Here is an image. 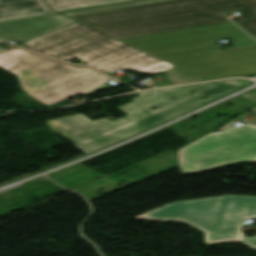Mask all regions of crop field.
I'll use <instances>...</instances> for the list:
<instances>
[{"label": "crop field", "mask_w": 256, "mask_h": 256, "mask_svg": "<svg viewBox=\"0 0 256 256\" xmlns=\"http://www.w3.org/2000/svg\"><path fill=\"white\" fill-rule=\"evenodd\" d=\"M228 93L212 83L140 92L134 102L119 107L129 115L113 122L107 118L92 122L78 114L46 124L55 134L89 154ZM152 106L157 109L149 110Z\"/></svg>", "instance_id": "crop-field-1"}, {"label": "crop field", "mask_w": 256, "mask_h": 256, "mask_svg": "<svg viewBox=\"0 0 256 256\" xmlns=\"http://www.w3.org/2000/svg\"><path fill=\"white\" fill-rule=\"evenodd\" d=\"M242 8L249 20L237 22L256 35V0H173L71 18L117 39L164 33L224 22L219 12Z\"/></svg>", "instance_id": "crop-field-2"}, {"label": "crop field", "mask_w": 256, "mask_h": 256, "mask_svg": "<svg viewBox=\"0 0 256 256\" xmlns=\"http://www.w3.org/2000/svg\"><path fill=\"white\" fill-rule=\"evenodd\" d=\"M19 46L65 61L78 57L84 60L79 64L106 75L121 69L156 74L175 67L79 22Z\"/></svg>", "instance_id": "crop-field-3"}, {"label": "crop field", "mask_w": 256, "mask_h": 256, "mask_svg": "<svg viewBox=\"0 0 256 256\" xmlns=\"http://www.w3.org/2000/svg\"><path fill=\"white\" fill-rule=\"evenodd\" d=\"M239 35L245 33L224 23L122 41L191 72L256 61V45L218 51L214 40Z\"/></svg>", "instance_id": "crop-field-4"}, {"label": "crop field", "mask_w": 256, "mask_h": 256, "mask_svg": "<svg viewBox=\"0 0 256 256\" xmlns=\"http://www.w3.org/2000/svg\"><path fill=\"white\" fill-rule=\"evenodd\" d=\"M0 67L16 75L22 90L46 106L108 88L103 84L111 80L88 68L15 47L0 53Z\"/></svg>", "instance_id": "crop-field-5"}, {"label": "crop field", "mask_w": 256, "mask_h": 256, "mask_svg": "<svg viewBox=\"0 0 256 256\" xmlns=\"http://www.w3.org/2000/svg\"><path fill=\"white\" fill-rule=\"evenodd\" d=\"M241 216L256 218V197L224 195L172 203L136 218L180 220L205 232L206 244L237 239L256 250V237L244 239L235 228Z\"/></svg>", "instance_id": "crop-field-6"}, {"label": "crop field", "mask_w": 256, "mask_h": 256, "mask_svg": "<svg viewBox=\"0 0 256 256\" xmlns=\"http://www.w3.org/2000/svg\"><path fill=\"white\" fill-rule=\"evenodd\" d=\"M182 174L241 161H256V126L242 125L210 133L177 151Z\"/></svg>", "instance_id": "crop-field-7"}, {"label": "crop field", "mask_w": 256, "mask_h": 256, "mask_svg": "<svg viewBox=\"0 0 256 256\" xmlns=\"http://www.w3.org/2000/svg\"><path fill=\"white\" fill-rule=\"evenodd\" d=\"M74 22L61 14L4 21L0 22V40L15 39L23 43Z\"/></svg>", "instance_id": "crop-field-8"}, {"label": "crop field", "mask_w": 256, "mask_h": 256, "mask_svg": "<svg viewBox=\"0 0 256 256\" xmlns=\"http://www.w3.org/2000/svg\"><path fill=\"white\" fill-rule=\"evenodd\" d=\"M49 12L42 0H0V20Z\"/></svg>", "instance_id": "crop-field-9"}, {"label": "crop field", "mask_w": 256, "mask_h": 256, "mask_svg": "<svg viewBox=\"0 0 256 256\" xmlns=\"http://www.w3.org/2000/svg\"><path fill=\"white\" fill-rule=\"evenodd\" d=\"M192 74L202 77L206 80L252 75L256 74V62L192 72Z\"/></svg>", "instance_id": "crop-field-10"}, {"label": "crop field", "mask_w": 256, "mask_h": 256, "mask_svg": "<svg viewBox=\"0 0 256 256\" xmlns=\"http://www.w3.org/2000/svg\"><path fill=\"white\" fill-rule=\"evenodd\" d=\"M47 3L55 10H65L78 7H85L98 4H106L128 0H46Z\"/></svg>", "instance_id": "crop-field-11"}, {"label": "crop field", "mask_w": 256, "mask_h": 256, "mask_svg": "<svg viewBox=\"0 0 256 256\" xmlns=\"http://www.w3.org/2000/svg\"><path fill=\"white\" fill-rule=\"evenodd\" d=\"M166 75L164 76L171 84L203 81L204 79L187 73L177 67L163 71Z\"/></svg>", "instance_id": "crop-field-12"}, {"label": "crop field", "mask_w": 256, "mask_h": 256, "mask_svg": "<svg viewBox=\"0 0 256 256\" xmlns=\"http://www.w3.org/2000/svg\"><path fill=\"white\" fill-rule=\"evenodd\" d=\"M160 1H167V0H146V1H140V2H133V3H127V4H121V5H114V6H108V7H102V8L64 13V15L72 16V15H78V14H84V13H90V12H96V11H102V10H108V9H114V8L126 7V6H132V5L160 2Z\"/></svg>", "instance_id": "crop-field-13"}, {"label": "crop field", "mask_w": 256, "mask_h": 256, "mask_svg": "<svg viewBox=\"0 0 256 256\" xmlns=\"http://www.w3.org/2000/svg\"><path fill=\"white\" fill-rule=\"evenodd\" d=\"M252 82L246 80H231V81H224V82H216L215 84L233 92L239 88H242Z\"/></svg>", "instance_id": "crop-field-14"}, {"label": "crop field", "mask_w": 256, "mask_h": 256, "mask_svg": "<svg viewBox=\"0 0 256 256\" xmlns=\"http://www.w3.org/2000/svg\"><path fill=\"white\" fill-rule=\"evenodd\" d=\"M247 100L256 103V88L239 95Z\"/></svg>", "instance_id": "crop-field-15"}, {"label": "crop field", "mask_w": 256, "mask_h": 256, "mask_svg": "<svg viewBox=\"0 0 256 256\" xmlns=\"http://www.w3.org/2000/svg\"><path fill=\"white\" fill-rule=\"evenodd\" d=\"M252 113H253L254 115H256V110L252 111ZM251 124H255V125H256V119H255V120H252V121H251Z\"/></svg>", "instance_id": "crop-field-16"}, {"label": "crop field", "mask_w": 256, "mask_h": 256, "mask_svg": "<svg viewBox=\"0 0 256 256\" xmlns=\"http://www.w3.org/2000/svg\"><path fill=\"white\" fill-rule=\"evenodd\" d=\"M1 43V42H0ZM0 50H2V49H0Z\"/></svg>", "instance_id": "crop-field-17"}, {"label": "crop field", "mask_w": 256, "mask_h": 256, "mask_svg": "<svg viewBox=\"0 0 256 256\" xmlns=\"http://www.w3.org/2000/svg\"><path fill=\"white\" fill-rule=\"evenodd\" d=\"M256 39V37H254Z\"/></svg>", "instance_id": "crop-field-18"}]
</instances>
